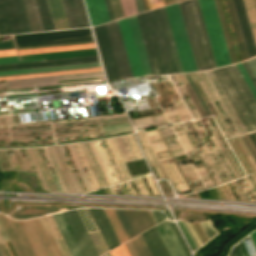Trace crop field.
I'll return each mask as SVG.
<instances>
[{
    "mask_svg": "<svg viewBox=\"0 0 256 256\" xmlns=\"http://www.w3.org/2000/svg\"><path fill=\"white\" fill-rule=\"evenodd\" d=\"M153 75L177 73L160 10L136 16Z\"/></svg>",
    "mask_w": 256,
    "mask_h": 256,
    "instance_id": "crop-field-1",
    "label": "crop field"
},
{
    "mask_svg": "<svg viewBox=\"0 0 256 256\" xmlns=\"http://www.w3.org/2000/svg\"><path fill=\"white\" fill-rule=\"evenodd\" d=\"M183 19L198 70L215 68V62L197 0L180 2Z\"/></svg>",
    "mask_w": 256,
    "mask_h": 256,
    "instance_id": "crop-field-2",
    "label": "crop field"
},
{
    "mask_svg": "<svg viewBox=\"0 0 256 256\" xmlns=\"http://www.w3.org/2000/svg\"><path fill=\"white\" fill-rule=\"evenodd\" d=\"M216 66L230 64V58L213 0H198Z\"/></svg>",
    "mask_w": 256,
    "mask_h": 256,
    "instance_id": "crop-field-3",
    "label": "crop field"
},
{
    "mask_svg": "<svg viewBox=\"0 0 256 256\" xmlns=\"http://www.w3.org/2000/svg\"><path fill=\"white\" fill-rule=\"evenodd\" d=\"M18 222L35 256H60L42 217Z\"/></svg>",
    "mask_w": 256,
    "mask_h": 256,
    "instance_id": "crop-field-4",
    "label": "crop field"
},
{
    "mask_svg": "<svg viewBox=\"0 0 256 256\" xmlns=\"http://www.w3.org/2000/svg\"><path fill=\"white\" fill-rule=\"evenodd\" d=\"M166 12L181 63L182 71H194L196 65L188 42L178 4L166 6Z\"/></svg>",
    "mask_w": 256,
    "mask_h": 256,
    "instance_id": "crop-field-5",
    "label": "crop field"
},
{
    "mask_svg": "<svg viewBox=\"0 0 256 256\" xmlns=\"http://www.w3.org/2000/svg\"><path fill=\"white\" fill-rule=\"evenodd\" d=\"M128 238L156 225L149 210L114 209Z\"/></svg>",
    "mask_w": 256,
    "mask_h": 256,
    "instance_id": "crop-field-6",
    "label": "crop field"
},
{
    "mask_svg": "<svg viewBox=\"0 0 256 256\" xmlns=\"http://www.w3.org/2000/svg\"><path fill=\"white\" fill-rule=\"evenodd\" d=\"M106 30L111 43L120 78L133 77L127 60L126 52L117 26V22L106 24Z\"/></svg>",
    "mask_w": 256,
    "mask_h": 256,
    "instance_id": "crop-field-7",
    "label": "crop field"
},
{
    "mask_svg": "<svg viewBox=\"0 0 256 256\" xmlns=\"http://www.w3.org/2000/svg\"><path fill=\"white\" fill-rule=\"evenodd\" d=\"M83 256H99L77 211L63 213Z\"/></svg>",
    "mask_w": 256,
    "mask_h": 256,
    "instance_id": "crop-field-8",
    "label": "crop field"
},
{
    "mask_svg": "<svg viewBox=\"0 0 256 256\" xmlns=\"http://www.w3.org/2000/svg\"><path fill=\"white\" fill-rule=\"evenodd\" d=\"M94 34L107 80L119 79L105 26L94 27Z\"/></svg>",
    "mask_w": 256,
    "mask_h": 256,
    "instance_id": "crop-field-9",
    "label": "crop field"
},
{
    "mask_svg": "<svg viewBox=\"0 0 256 256\" xmlns=\"http://www.w3.org/2000/svg\"><path fill=\"white\" fill-rule=\"evenodd\" d=\"M0 221L13 245L17 256H34L16 220L0 214Z\"/></svg>",
    "mask_w": 256,
    "mask_h": 256,
    "instance_id": "crop-field-10",
    "label": "crop field"
},
{
    "mask_svg": "<svg viewBox=\"0 0 256 256\" xmlns=\"http://www.w3.org/2000/svg\"><path fill=\"white\" fill-rule=\"evenodd\" d=\"M119 26L121 30V34L123 37L124 45L126 48L127 56L130 62V66L133 72L134 77L144 76L141 68V64L139 61V57L137 54V50L134 44V40L132 37V33L130 30V26L128 23V19L119 20Z\"/></svg>",
    "mask_w": 256,
    "mask_h": 256,
    "instance_id": "crop-field-11",
    "label": "crop field"
},
{
    "mask_svg": "<svg viewBox=\"0 0 256 256\" xmlns=\"http://www.w3.org/2000/svg\"><path fill=\"white\" fill-rule=\"evenodd\" d=\"M93 55H98L96 49L58 52V53H46V54H35V55H24V56H18V57L20 60L37 59V58H44L45 60H50V59L72 58V57L93 56ZM18 57L17 56L1 57L0 64L43 60V59H38V60L19 61Z\"/></svg>",
    "mask_w": 256,
    "mask_h": 256,
    "instance_id": "crop-field-12",
    "label": "crop field"
},
{
    "mask_svg": "<svg viewBox=\"0 0 256 256\" xmlns=\"http://www.w3.org/2000/svg\"><path fill=\"white\" fill-rule=\"evenodd\" d=\"M69 28L89 27L82 0H62Z\"/></svg>",
    "mask_w": 256,
    "mask_h": 256,
    "instance_id": "crop-field-13",
    "label": "crop field"
},
{
    "mask_svg": "<svg viewBox=\"0 0 256 256\" xmlns=\"http://www.w3.org/2000/svg\"><path fill=\"white\" fill-rule=\"evenodd\" d=\"M94 61H99L98 56L0 65V70L31 68V67H41V66H52V65H63V64H73V63H84V62H94Z\"/></svg>",
    "mask_w": 256,
    "mask_h": 256,
    "instance_id": "crop-field-14",
    "label": "crop field"
},
{
    "mask_svg": "<svg viewBox=\"0 0 256 256\" xmlns=\"http://www.w3.org/2000/svg\"><path fill=\"white\" fill-rule=\"evenodd\" d=\"M109 250L117 247L119 244L104 212L102 209H89Z\"/></svg>",
    "mask_w": 256,
    "mask_h": 256,
    "instance_id": "crop-field-15",
    "label": "crop field"
},
{
    "mask_svg": "<svg viewBox=\"0 0 256 256\" xmlns=\"http://www.w3.org/2000/svg\"><path fill=\"white\" fill-rule=\"evenodd\" d=\"M169 255L170 256H184L168 222L165 220L155 226Z\"/></svg>",
    "mask_w": 256,
    "mask_h": 256,
    "instance_id": "crop-field-16",
    "label": "crop field"
},
{
    "mask_svg": "<svg viewBox=\"0 0 256 256\" xmlns=\"http://www.w3.org/2000/svg\"><path fill=\"white\" fill-rule=\"evenodd\" d=\"M72 256H82L62 213L52 215Z\"/></svg>",
    "mask_w": 256,
    "mask_h": 256,
    "instance_id": "crop-field-17",
    "label": "crop field"
},
{
    "mask_svg": "<svg viewBox=\"0 0 256 256\" xmlns=\"http://www.w3.org/2000/svg\"><path fill=\"white\" fill-rule=\"evenodd\" d=\"M85 3L92 26L109 21L103 0H85Z\"/></svg>",
    "mask_w": 256,
    "mask_h": 256,
    "instance_id": "crop-field-18",
    "label": "crop field"
},
{
    "mask_svg": "<svg viewBox=\"0 0 256 256\" xmlns=\"http://www.w3.org/2000/svg\"><path fill=\"white\" fill-rule=\"evenodd\" d=\"M128 19H129V22H130V25H131V28H132V32H133V35H134V39H135V43H136L137 50H138V53H139V57H140V60H141L144 75L145 76L152 75L150 67H149V63H148V60H147V56H146V53H145V49H144V46H143L140 31H139V28H138V24H137V21H136V17L133 16V17H129Z\"/></svg>",
    "mask_w": 256,
    "mask_h": 256,
    "instance_id": "crop-field-19",
    "label": "crop field"
},
{
    "mask_svg": "<svg viewBox=\"0 0 256 256\" xmlns=\"http://www.w3.org/2000/svg\"><path fill=\"white\" fill-rule=\"evenodd\" d=\"M56 30L69 29L61 0H48Z\"/></svg>",
    "mask_w": 256,
    "mask_h": 256,
    "instance_id": "crop-field-20",
    "label": "crop field"
},
{
    "mask_svg": "<svg viewBox=\"0 0 256 256\" xmlns=\"http://www.w3.org/2000/svg\"><path fill=\"white\" fill-rule=\"evenodd\" d=\"M96 66H101V65H100L99 62H94V63H84V64H74V65H64V66H54V67H43V68L13 70V71H2V72H0V75L41 72V71H52V70H63V69H74V68H85V67H96Z\"/></svg>",
    "mask_w": 256,
    "mask_h": 256,
    "instance_id": "crop-field-21",
    "label": "crop field"
},
{
    "mask_svg": "<svg viewBox=\"0 0 256 256\" xmlns=\"http://www.w3.org/2000/svg\"><path fill=\"white\" fill-rule=\"evenodd\" d=\"M225 2H226V5H227L228 13H229L230 20H231V23H232V27H233V30H234V34H235V37H236V41H237V45H238L239 52H240V55H241V59L242 60L247 59L245 48H244V45H243L242 37H241L239 26H238V22H237V19H236L235 11H234V8H233L232 0H225Z\"/></svg>",
    "mask_w": 256,
    "mask_h": 256,
    "instance_id": "crop-field-22",
    "label": "crop field"
},
{
    "mask_svg": "<svg viewBox=\"0 0 256 256\" xmlns=\"http://www.w3.org/2000/svg\"><path fill=\"white\" fill-rule=\"evenodd\" d=\"M43 31L55 30L47 0H35Z\"/></svg>",
    "mask_w": 256,
    "mask_h": 256,
    "instance_id": "crop-field-23",
    "label": "crop field"
},
{
    "mask_svg": "<svg viewBox=\"0 0 256 256\" xmlns=\"http://www.w3.org/2000/svg\"><path fill=\"white\" fill-rule=\"evenodd\" d=\"M31 32L42 31L33 0H22Z\"/></svg>",
    "mask_w": 256,
    "mask_h": 256,
    "instance_id": "crop-field-24",
    "label": "crop field"
},
{
    "mask_svg": "<svg viewBox=\"0 0 256 256\" xmlns=\"http://www.w3.org/2000/svg\"><path fill=\"white\" fill-rule=\"evenodd\" d=\"M124 244L130 256H151L141 234Z\"/></svg>",
    "mask_w": 256,
    "mask_h": 256,
    "instance_id": "crop-field-25",
    "label": "crop field"
},
{
    "mask_svg": "<svg viewBox=\"0 0 256 256\" xmlns=\"http://www.w3.org/2000/svg\"><path fill=\"white\" fill-rule=\"evenodd\" d=\"M96 48L94 43L17 51L19 55Z\"/></svg>",
    "mask_w": 256,
    "mask_h": 256,
    "instance_id": "crop-field-26",
    "label": "crop field"
},
{
    "mask_svg": "<svg viewBox=\"0 0 256 256\" xmlns=\"http://www.w3.org/2000/svg\"><path fill=\"white\" fill-rule=\"evenodd\" d=\"M236 2H237L238 10H239V13H240V17H241V20H242V24H243V27H244V31H245V34H246L249 49H250V52H251V56L253 57V56L256 55V46H255L254 39H253V36H252V33H251V29H250V26H249V23H248V19H247V16H246L243 1L242 0H236Z\"/></svg>",
    "mask_w": 256,
    "mask_h": 256,
    "instance_id": "crop-field-27",
    "label": "crop field"
},
{
    "mask_svg": "<svg viewBox=\"0 0 256 256\" xmlns=\"http://www.w3.org/2000/svg\"><path fill=\"white\" fill-rule=\"evenodd\" d=\"M214 1H215L216 8H217V11H218V15H219V18H220V21H221V25H222V28H223V32H224V36H225V39H226V43H227L228 51H229V54H230L231 62L235 63L237 61H236V57H235V54H234L232 43H231V40H230V37H229L227 26H226V23H225V19H224V15H223V12H222L220 1L219 0H214Z\"/></svg>",
    "mask_w": 256,
    "mask_h": 256,
    "instance_id": "crop-field-28",
    "label": "crop field"
},
{
    "mask_svg": "<svg viewBox=\"0 0 256 256\" xmlns=\"http://www.w3.org/2000/svg\"><path fill=\"white\" fill-rule=\"evenodd\" d=\"M104 211H105V213H106V215H107V217H108V219H109V221H110V223H111V225H112L120 243H123L126 240H128L124 231H123V229H122V227H121V225H120V223H119V221H118V219H117V217H116V215H115V213H114V211H113V209H104Z\"/></svg>",
    "mask_w": 256,
    "mask_h": 256,
    "instance_id": "crop-field-29",
    "label": "crop field"
},
{
    "mask_svg": "<svg viewBox=\"0 0 256 256\" xmlns=\"http://www.w3.org/2000/svg\"><path fill=\"white\" fill-rule=\"evenodd\" d=\"M160 10H161L162 18H163L164 25H165V28H166L169 43H170V46H171L174 61H175V64H176L177 72L180 73L182 71H181L179 60H178L177 52H176V49H175L174 41H173V38H172L171 30H170V27H169L168 19H167V16H166L165 8L163 7Z\"/></svg>",
    "mask_w": 256,
    "mask_h": 256,
    "instance_id": "crop-field-30",
    "label": "crop field"
},
{
    "mask_svg": "<svg viewBox=\"0 0 256 256\" xmlns=\"http://www.w3.org/2000/svg\"><path fill=\"white\" fill-rule=\"evenodd\" d=\"M96 71H102V70H101V69H95V70H83V71L59 72V73H48V74H37V75L15 76V77H3V78H0V80L18 79V78H29V77H39V76H50V75H60V74H72V73L96 72Z\"/></svg>",
    "mask_w": 256,
    "mask_h": 256,
    "instance_id": "crop-field-31",
    "label": "crop field"
},
{
    "mask_svg": "<svg viewBox=\"0 0 256 256\" xmlns=\"http://www.w3.org/2000/svg\"><path fill=\"white\" fill-rule=\"evenodd\" d=\"M177 1H181V0H166V4L168 5ZM147 2L150 10L166 5L165 0H147Z\"/></svg>",
    "mask_w": 256,
    "mask_h": 256,
    "instance_id": "crop-field-32",
    "label": "crop field"
},
{
    "mask_svg": "<svg viewBox=\"0 0 256 256\" xmlns=\"http://www.w3.org/2000/svg\"><path fill=\"white\" fill-rule=\"evenodd\" d=\"M169 223H170V225H171V227H172V229H173V231H174V233H175V235H176V237H177L185 255L186 256H191L187 247H186V245H185V243H184V241H183V239H182V237H181V235H180V233H179V231H178V229H177V227H176V225L173 222H169Z\"/></svg>",
    "mask_w": 256,
    "mask_h": 256,
    "instance_id": "crop-field-33",
    "label": "crop field"
},
{
    "mask_svg": "<svg viewBox=\"0 0 256 256\" xmlns=\"http://www.w3.org/2000/svg\"><path fill=\"white\" fill-rule=\"evenodd\" d=\"M235 65H236V64H235ZM237 66H238V68H239V70H240V72H241L243 78L245 79V81H246V83H247V85H248L250 91L252 92L254 98L256 99V90H255L253 84L251 83L249 77L247 76L245 70L243 69L241 63H238Z\"/></svg>",
    "mask_w": 256,
    "mask_h": 256,
    "instance_id": "crop-field-34",
    "label": "crop field"
},
{
    "mask_svg": "<svg viewBox=\"0 0 256 256\" xmlns=\"http://www.w3.org/2000/svg\"><path fill=\"white\" fill-rule=\"evenodd\" d=\"M228 142H229L230 146L232 147L234 153L236 154L238 160L240 161L242 167L244 168L246 174H249V171H248V169L245 166L247 164H246L245 160L243 159V157L241 156L240 152L238 151L237 147L233 143L232 139H229Z\"/></svg>",
    "mask_w": 256,
    "mask_h": 256,
    "instance_id": "crop-field-35",
    "label": "crop field"
},
{
    "mask_svg": "<svg viewBox=\"0 0 256 256\" xmlns=\"http://www.w3.org/2000/svg\"><path fill=\"white\" fill-rule=\"evenodd\" d=\"M192 226L194 227L196 233L198 234L199 238L201 239L202 243L205 242L207 239L200 223H194V222H191Z\"/></svg>",
    "mask_w": 256,
    "mask_h": 256,
    "instance_id": "crop-field-36",
    "label": "crop field"
},
{
    "mask_svg": "<svg viewBox=\"0 0 256 256\" xmlns=\"http://www.w3.org/2000/svg\"><path fill=\"white\" fill-rule=\"evenodd\" d=\"M201 225H202L208 239L216 233L213 226L211 225L210 221L202 222Z\"/></svg>",
    "mask_w": 256,
    "mask_h": 256,
    "instance_id": "crop-field-37",
    "label": "crop field"
},
{
    "mask_svg": "<svg viewBox=\"0 0 256 256\" xmlns=\"http://www.w3.org/2000/svg\"><path fill=\"white\" fill-rule=\"evenodd\" d=\"M112 256H129L124 244L110 251Z\"/></svg>",
    "mask_w": 256,
    "mask_h": 256,
    "instance_id": "crop-field-38",
    "label": "crop field"
},
{
    "mask_svg": "<svg viewBox=\"0 0 256 256\" xmlns=\"http://www.w3.org/2000/svg\"><path fill=\"white\" fill-rule=\"evenodd\" d=\"M233 3H234V7H235V11H236V14H237V18H238V21H239V25H240V28H241V32H242V35H243V39H244V43H245V46H246V50H247V53H248V57L250 58V52H249V49H248V45H247V42H246V38H245V34H244V31H243V27H242V24H241V20H240V17H239V13H238V10H237V6H236V2L235 0H233Z\"/></svg>",
    "mask_w": 256,
    "mask_h": 256,
    "instance_id": "crop-field-39",
    "label": "crop field"
},
{
    "mask_svg": "<svg viewBox=\"0 0 256 256\" xmlns=\"http://www.w3.org/2000/svg\"><path fill=\"white\" fill-rule=\"evenodd\" d=\"M98 78H103V77L85 78V79H73V80H61V81H49V82H37V83H25V84H13V85H8V86L9 87H13V86H22V85H30V84L52 83V82H63V81H75V80H86V79H98Z\"/></svg>",
    "mask_w": 256,
    "mask_h": 256,
    "instance_id": "crop-field-40",
    "label": "crop field"
},
{
    "mask_svg": "<svg viewBox=\"0 0 256 256\" xmlns=\"http://www.w3.org/2000/svg\"><path fill=\"white\" fill-rule=\"evenodd\" d=\"M241 63H242L244 69L246 70L248 76L250 77L252 83L254 84V86H255V88H256V80H255V78H254V76H253L251 70L249 69V67H248V65H247V63H246V61L241 62Z\"/></svg>",
    "mask_w": 256,
    "mask_h": 256,
    "instance_id": "crop-field-41",
    "label": "crop field"
},
{
    "mask_svg": "<svg viewBox=\"0 0 256 256\" xmlns=\"http://www.w3.org/2000/svg\"><path fill=\"white\" fill-rule=\"evenodd\" d=\"M235 247H236L240 256H248L242 242H239L237 245H235Z\"/></svg>",
    "mask_w": 256,
    "mask_h": 256,
    "instance_id": "crop-field-42",
    "label": "crop field"
},
{
    "mask_svg": "<svg viewBox=\"0 0 256 256\" xmlns=\"http://www.w3.org/2000/svg\"><path fill=\"white\" fill-rule=\"evenodd\" d=\"M249 67L251 68L254 76L256 77V57L247 60Z\"/></svg>",
    "mask_w": 256,
    "mask_h": 256,
    "instance_id": "crop-field-43",
    "label": "crop field"
},
{
    "mask_svg": "<svg viewBox=\"0 0 256 256\" xmlns=\"http://www.w3.org/2000/svg\"><path fill=\"white\" fill-rule=\"evenodd\" d=\"M90 42H94V41L79 42V43H70V44H60V45H49V46L23 47V48H17V50H21V49H31V48H41V47H51V46H61V45H71V44H80V43H90Z\"/></svg>",
    "mask_w": 256,
    "mask_h": 256,
    "instance_id": "crop-field-44",
    "label": "crop field"
},
{
    "mask_svg": "<svg viewBox=\"0 0 256 256\" xmlns=\"http://www.w3.org/2000/svg\"><path fill=\"white\" fill-rule=\"evenodd\" d=\"M151 213H152V215H153V217H154L156 223H159V222H161L162 220H164V218H163L161 212H159V211H151Z\"/></svg>",
    "mask_w": 256,
    "mask_h": 256,
    "instance_id": "crop-field-45",
    "label": "crop field"
},
{
    "mask_svg": "<svg viewBox=\"0 0 256 256\" xmlns=\"http://www.w3.org/2000/svg\"><path fill=\"white\" fill-rule=\"evenodd\" d=\"M10 48H15L13 41L0 43V49H10Z\"/></svg>",
    "mask_w": 256,
    "mask_h": 256,
    "instance_id": "crop-field-46",
    "label": "crop field"
},
{
    "mask_svg": "<svg viewBox=\"0 0 256 256\" xmlns=\"http://www.w3.org/2000/svg\"><path fill=\"white\" fill-rule=\"evenodd\" d=\"M12 55H17L15 49L0 50V56H12Z\"/></svg>",
    "mask_w": 256,
    "mask_h": 256,
    "instance_id": "crop-field-47",
    "label": "crop field"
},
{
    "mask_svg": "<svg viewBox=\"0 0 256 256\" xmlns=\"http://www.w3.org/2000/svg\"><path fill=\"white\" fill-rule=\"evenodd\" d=\"M181 224H182V226L184 227L185 231L187 232V234H188L189 238L191 239L192 243L194 244L195 248L198 247L197 244H196V242H195V240H194V238L192 237L190 231L188 230V228H187L185 222H181Z\"/></svg>",
    "mask_w": 256,
    "mask_h": 256,
    "instance_id": "crop-field-48",
    "label": "crop field"
},
{
    "mask_svg": "<svg viewBox=\"0 0 256 256\" xmlns=\"http://www.w3.org/2000/svg\"><path fill=\"white\" fill-rule=\"evenodd\" d=\"M236 140H237L238 144L240 145V147H241L242 151L244 152V154H245L246 158L248 159V161H249L250 165L252 166V168H253L254 172H256V169H255L254 165L252 164V162H251L250 158L248 157V155H247L246 151L244 150V148H243L242 144L240 143V141H239L238 137H236Z\"/></svg>",
    "mask_w": 256,
    "mask_h": 256,
    "instance_id": "crop-field-49",
    "label": "crop field"
},
{
    "mask_svg": "<svg viewBox=\"0 0 256 256\" xmlns=\"http://www.w3.org/2000/svg\"><path fill=\"white\" fill-rule=\"evenodd\" d=\"M249 236H250V238H251V240H252V242H253V244L256 248V231L253 232L252 234H249Z\"/></svg>",
    "mask_w": 256,
    "mask_h": 256,
    "instance_id": "crop-field-50",
    "label": "crop field"
},
{
    "mask_svg": "<svg viewBox=\"0 0 256 256\" xmlns=\"http://www.w3.org/2000/svg\"><path fill=\"white\" fill-rule=\"evenodd\" d=\"M135 1H136V5H137V8H138V12L139 13L142 12L143 10H142V6H141L140 0H135Z\"/></svg>",
    "mask_w": 256,
    "mask_h": 256,
    "instance_id": "crop-field-51",
    "label": "crop field"
},
{
    "mask_svg": "<svg viewBox=\"0 0 256 256\" xmlns=\"http://www.w3.org/2000/svg\"><path fill=\"white\" fill-rule=\"evenodd\" d=\"M242 138H243V140L245 141V143H246L247 147L249 148L250 152L252 153L254 159L256 160V156H255V154L253 153V151H252V149L250 148V146L248 145V143H247V141L245 140L244 136H242Z\"/></svg>",
    "mask_w": 256,
    "mask_h": 256,
    "instance_id": "crop-field-52",
    "label": "crop field"
},
{
    "mask_svg": "<svg viewBox=\"0 0 256 256\" xmlns=\"http://www.w3.org/2000/svg\"><path fill=\"white\" fill-rule=\"evenodd\" d=\"M229 256H239L237 251H236V249H235V247H233V249H232V251H231Z\"/></svg>",
    "mask_w": 256,
    "mask_h": 256,
    "instance_id": "crop-field-53",
    "label": "crop field"
},
{
    "mask_svg": "<svg viewBox=\"0 0 256 256\" xmlns=\"http://www.w3.org/2000/svg\"><path fill=\"white\" fill-rule=\"evenodd\" d=\"M249 136H250L251 140L253 141V143H254V145L256 147V139H255L253 133H250Z\"/></svg>",
    "mask_w": 256,
    "mask_h": 256,
    "instance_id": "crop-field-54",
    "label": "crop field"
},
{
    "mask_svg": "<svg viewBox=\"0 0 256 256\" xmlns=\"http://www.w3.org/2000/svg\"><path fill=\"white\" fill-rule=\"evenodd\" d=\"M246 138H247L248 142L250 143V145H251L252 149L254 150V152H255V154H256V150H255V148H254L253 144L251 143V141H250V139H249L248 135H246Z\"/></svg>",
    "mask_w": 256,
    "mask_h": 256,
    "instance_id": "crop-field-55",
    "label": "crop field"
},
{
    "mask_svg": "<svg viewBox=\"0 0 256 256\" xmlns=\"http://www.w3.org/2000/svg\"><path fill=\"white\" fill-rule=\"evenodd\" d=\"M141 2H142V0H141ZM142 6H143V2H142ZM143 10H144V6H143ZM145 11V10H144Z\"/></svg>",
    "mask_w": 256,
    "mask_h": 256,
    "instance_id": "crop-field-56",
    "label": "crop field"
},
{
    "mask_svg": "<svg viewBox=\"0 0 256 256\" xmlns=\"http://www.w3.org/2000/svg\"><path fill=\"white\" fill-rule=\"evenodd\" d=\"M255 1V5H256V0H254Z\"/></svg>",
    "mask_w": 256,
    "mask_h": 256,
    "instance_id": "crop-field-57",
    "label": "crop field"
}]
</instances>
